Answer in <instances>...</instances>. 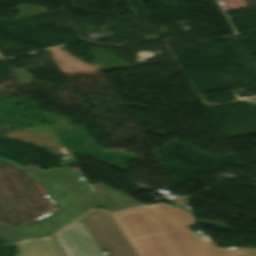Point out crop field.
<instances>
[{
    "label": "crop field",
    "mask_w": 256,
    "mask_h": 256,
    "mask_svg": "<svg viewBox=\"0 0 256 256\" xmlns=\"http://www.w3.org/2000/svg\"><path fill=\"white\" fill-rule=\"evenodd\" d=\"M109 212L141 205L124 193L107 187L101 183L91 185Z\"/></svg>",
    "instance_id": "crop-field-5"
},
{
    "label": "crop field",
    "mask_w": 256,
    "mask_h": 256,
    "mask_svg": "<svg viewBox=\"0 0 256 256\" xmlns=\"http://www.w3.org/2000/svg\"><path fill=\"white\" fill-rule=\"evenodd\" d=\"M54 237L65 256H102L81 220Z\"/></svg>",
    "instance_id": "crop-field-4"
},
{
    "label": "crop field",
    "mask_w": 256,
    "mask_h": 256,
    "mask_svg": "<svg viewBox=\"0 0 256 256\" xmlns=\"http://www.w3.org/2000/svg\"><path fill=\"white\" fill-rule=\"evenodd\" d=\"M139 256H221L213 241L187 227L188 211L156 203L112 214Z\"/></svg>",
    "instance_id": "crop-field-1"
},
{
    "label": "crop field",
    "mask_w": 256,
    "mask_h": 256,
    "mask_svg": "<svg viewBox=\"0 0 256 256\" xmlns=\"http://www.w3.org/2000/svg\"><path fill=\"white\" fill-rule=\"evenodd\" d=\"M16 256H63L53 237L17 245Z\"/></svg>",
    "instance_id": "crop-field-6"
},
{
    "label": "crop field",
    "mask_w": 256,
    "mask_h": 256,
    "mask_svg": "<svg viewBox=\"0 0 256 256\" xmlns=\"http://www.w3.org/2000/svg\"><path fill=\"white\" fill-rule=\"evenodd\" d=\"M254 250L256 251V248H254Z\"/></svg>",
    "instance_id": "crop-field-8"
},
{
    "label": "crop field",
    "mask_w": 256,
    "mask_h": 256,
    "mask_svg": "<svg viewBox=\"0 0 256 256\" xmlns=\"http://www.w3.org/2000/svg\"><path fill=\"white\" fill-rule=\"evenodd\" d=\"M24 172L50 191L46 195L61 210L15 229L0 225V236L6 240L18 243L52 235L101 202L89 184L69 168L45 172L30 167Z\"/></svg>",
    "instance_id": "crop-field-2"
},
{
    "label": "crop field",
    "mask_w": 256,
    "mask_h": 256,
    "mask_svg": "<svg viewBox=\"0 0 256 256\" xmlns=\"http://www.w3.org/2000/svg\"><path fill=\"white\" fill-rule=\"evenodd\" d=\"M82 219L106 256H138L111 214L92 211Z\"/></svg>",
    "instance_id": "crop-field-3"
},
{
    "label": "crop field",
    "mask_w": 256,
    "mask_h": 256,
    "mask_svg": "<svg viewBox=\"0 0 256 256\" xmlns=\"http://www.w3.org/2000/svg\"><path fill=\"white\" fill-rule=\"evenodd\" d=\"M222 256H256L253 248H218Z\"/></svg>",
    "instance_id": "crop-field-7"
}]
</instances>
